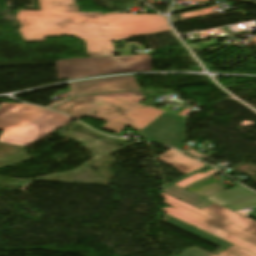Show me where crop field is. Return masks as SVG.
I'll return each mask as SVG.
<instances>
[{"label": "crop field", "mask_w": 256, "mask_h": 256, "mask_svg": "<svg viewBox=\"0 0 256 256\" xmlns=\"http://www.w3.org/2000/svg\"><path fill=\"white\" fill-rule=\"evenodd\" d=\"M56 65L59 79L152 70L150 55L71 58Z\"/></svg>", "instance_id": "412701ff"}, {"label": "crop field", "mask_w": 256, "mask_h": 256, "mask_svg": "<svg viewBox=\"0 0 256 256\" xmlns=\"http://www.w3.org/2000/svg\"><path fill=\"white\" fill-rule=\"evenodd\" d=\"M160 196L163 197V198H166V199H168V200H170V201H172V202H174L176 204H179V205H181V206H183V207H185L187 209H190V210H192V211H194V212H196V213H198L200 215H203V216H205V217H207V218H209V219H211L213 221H216V222H218V223H220L222 225H225V226H227V227H229V228H231L233 230H236V231H238V232H240L242 234H245V235H247V236H249V237H251L253 239H256L255 235H252V234H250V233H248V232H246V231H244V230H242V229H240V228H238V227H236L234 225H231V224H229V223H227V222H225V221H223V220H221V219H219V218H217V217H215V216H213L211 214H208V213H205V212H203L201 210H198V209H196V208H194V207H192V206H190V205H188V204H186V203H184L182 201H179V200H177V199H175V198H173V197H171V196H169V195H167V194H165L163 192L161 193Z\"/></svg>", "instance_id": "3316defc"}, {"label": "crop field", "mask_w": 256, "mask_h": 256, "mask_svg": "<svg viewBox=\"0 0 256 256\" xmlns=\"http://www.w3.org/2000/svg\"><path fill=\"white\" fill-rule=\"evenodd\" d=\"M254 203H256V195L246 198V199H243V200H240L238 202L223 206V207L230 209L232 211H236L238 209L244 208V207L249 206Z\"/></svg>", "instance_id": "d1516ede"}, {"label": "crop field", "mask_w": 256, "mask_h": 256, "mask_svg": "<svg viewBox=\"0 0 256 256\" xmlns=\"http://www.w3.org/2000/svg\"><path fill=\"white\" fill-rule=\"evenodd\" d=\"M207 166H209V165H207ZM207 166H205V167H207ZM205 167H203V168H205ZM209 167H210V166H209ZM203 168H201V169H203ZM207 168H208V167H207ZM201 169H198V170H196V171H194V172H191V173H189V174H187V175H185V176H183V177H181V178H179V179H177V180H175V181H173V182H171V183H169V184H166V185H164V186H162V187H160V188L163 189V188H165V187H167V186H170V185H172V184H174V183H176V182H178V181H180V180L186 178L187 176H189V175H191V174H193V173H195V172H197V171H199V170H201Z\"/></svg>", "instance_id": "cbeb9de0"}, {"label": "crop field", "mask_w": 256, "mask_h": 256, "mask_svg": "<svg viewBox=\"0 0 256 256\" xmlns=\"http://www.w3.org/2000/svg\"><path fill=\"white\" fill-rule=\"evenodd\" d=\"M143 99L142 91L87 95L74 97L52 109L77 119L89 116L107 120L102 129L117 133L128 125L151 142L179 146L185 138L186 117L137 104Z\"/></svg>", "instance_id": "ac0d7876"}, {"label": "crop field", "mask_w": 256, "mask_h": 256, "mask_svg": "<svg viewBox=\"0 0 256 256\" xmlns=\"http://www.w3.org/2000/svg\"><path fill=\"white\" fill-rule=\"evenodd\" d=\"M162 211L176 217L177 219L187 223V224H190V225H194L195 227L203 230V231H206L216 237H219L221 239H224L228 242H231L233 244H236L238 246H241L251 252H254L256 253V245L252 244V243H249L243 239H240L232 234H229L223 230H220L212 225H209L203 221H200L192 216H189L183 212H180L172 207H168V208H164L162 209Z\"/></svg>", "instance_id": "d8731c3e"}, {"label": "crop field", "mask_w": 256, "mask_h": 256, "mask_svg": "<svg viewBox=\"0 0 256 256\" xmlns=\"http://www.w3.org/2000/svg\"><path fill=\"white\" fill-rule=\"evenodd\" d=\"M238 1H243V2H248V3L252 2V1H249V0H238Z\"/></svg>", "instance_id": "5142ce71"}, {"label": "crop field", "mask_w": 256, "mask_h": 256, "mask_svg": "<svg viewBox=\"0 0 256 256\" xmlns=\"http://www.w3.org/2000/svg\"><path fill=\"white\" fill-rule=\"evenodd\" d=\"M162 191L256 235V221L243 217L235 212H231L175 185L165 188Z\"/></svg>", "instance_id": "f4fd0767"}, {"label": "crop field", "mask_w": 256, "mask_h": 256, "mask_svg": "<svg viewBox=\"0 0 256 256\" xmlns=\"http://www.w3.org/2000/svg\"><path fill=\"white\" fill-rule=\"evenodd\" d=\"M70 120L32 105L0 103V142L28 147Z\"/></svg>", "instance_id": "34b2d1b8"}, {"label": "crop field", "mask_w": 256, "mask_h": 256, "mask_svg": "<svg viewBox=\"0 0 256 256\" xmlns=\"http://www.w3.org/2000/svg\"><path fill=\"white\" fill-rule=\"evenodd\" d=\"M41 11L21 10L17 17L26 42L68 34L86 41L89 56H109L111 41L170 30L161 15L79 12L74 0H38Z\"/></svg>", "instance_id": "8a807250"}, {"label": "crop field", "mask_w": 256, "mask_h": 256, "mask_svg": "<svg viewBox=\"0 0 256 256\" xmlns=\"http://www.w3.org/2000/svg\"><path fill=\"white\" fill-rule=\"evenodd\" d=\"M163 201L165 202V204H167L169 206H172V207H174V208H176V209H178L180 211H183V212H185V213H187L189 215H192V216H194V217H196V218H198L200 220H203V221H205V222H207L209 224H212V225H214V226H216V227H218L220 229H223V230H225V231H227L229 233H232V234H234V235H236V236H238L240 238H243V239H245V240H247L249 242H252V243L256 244V240H253V239H251V238H249V237H247L245 235H242V234H240V233H238L236 231H233V230H231V229H229V228H227L225 226H222V225H220V224H218L216 222H213V221H211V220H209V219H207V218H205L203 216H200V215H198V214H196V213H194V212H192L190 210H187V209H185V208H183V207H181L179 205H176V204H174V203H172V202H170V201H168L166 199H164Z\"/></svg>", "instance_id": "28ad6ade"}, {"label": "crop field", "mask_w": 256, "mask_h": 256, "mask_svg": "<svg viewBox=\"0 0 256 256\" xmlns=\"http://www.w3.org/2000/svg\"><path fill=\"white\" fill-rule=\"evenodd\" d=\"M157 158H159L164 163L176 168L184 174H187L191 171L205 166L201 162L193 158L187 157L173 149Z\"/></svg>", "instance_id": "5a996713"}, {"label": "crop field", "mask_w": 256, "mask_h": 256, "mask_svg": "<svg viewBox=\"0 0 256 256\" xmlns=\"http://www.w3.org/2000/svg\"><path fill=\"white\" fill-rule=\"evenodd\" d=\"M72 97L78 95L139 90L131 75L74 82Z\"/></svg>", "instance_id": "dd49c442"}, {"label": "crop field", "mask_w": 256, "mask_h": 256, "mask_svg": "<svg viewBox=\"0 0 256 256\" xmlns=\"http://www.w3.org/2000/svg\"><path fill=\"white\" fill-rule=\"evenodd\" d=\"M163 222L174 227L180 228L186 232H189L205 241L213 243L219 247L220 249L216 250L213 254L218 256H256V254L251 253L241 247L234 246L228 242H225L219 238H216L208 233H205L195 227H191L177 219H174L168 215L163 217ZM224 248V249H222Z\"/></svg>", "instance_id": "e52e79f7"}, {"label": "crop field", "mask_w": 256, "mask_h": 256, "mask_svg": "<svg viewBox=\"0 0 256 256\" xmlns=\"http://www.w3.org/2000/svg\"><path fill=\"white\" fill-rule=\"evenodd\" d=\"M252 3H253V4H256V1H253Z\"/></svg>", "instance_id": "d9b57169"}, {"label": "crop field", "mask_w": 256, "mask_h": 256, "mask_svg": "<svg viewBox=\"0 0 256 256\" xmlns=\"http://www.w3.org/2000/svg\"><path fill=\"white\" fill-rule=\"evenodd\" d=\"M179 256H214L200 248L193 247L183 253H181Z\"/></svg>", "instance_id": "22f410ed"}]
</instances>
